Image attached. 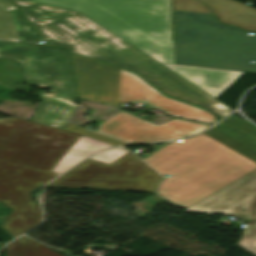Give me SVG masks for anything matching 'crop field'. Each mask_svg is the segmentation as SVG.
I'll return each mask as SVG.
<instances>
[{
  "label": "crop field",
  "mask_w": 256,
  "mask_h": 256,
  "mask_svg": "<svg viewBox=\"0 0 256 256\" xmlns=\"http://www.w3.org/2000/svg\"><path fill=\"white\" fill-rule=\"evenodd\" d=\"M65 130H69V131H72V132H75V133L86 135V136H89V137H92V138H95V139H98V140H101V141H105V142H108V143H111V144H115V145H126V143H124L122 141L100 135L98 133L83 129L81 127H78V126H75V125H72V124H69V123L67 124Z\"/></svg>",
  "instance_id": "crop-field-19"
},
{
  "label": "crop field",
  "mask_w": 256,
  "mask_h": 256,
  "mask_svg": "<svg viewBox=\"0 0 256 256\" xmlns=\"http://www.w3.org/2000/svg\"><path fill=\"white\" fill-rule=\"evenodd\" d=\"M101 164H104V163L88 159L85 162L78 165L77 167L70 170L69 172L65 173L61 177H59V179L83 180L85 174L89 171V169L92 166L101 165Z\"/></svg>",
  "instance_id": "crop-field-17"
},
{
  "label": "crop field",
  "mask_w": 256,
  "mask_h": 256,
  "mask_svg": "<svg viewBox=\"0 0 256 256\" xmlns=\"http://www.w3.org/2000/svg\"><path fill=\"white\" fill-rule=\"evenodd\" d=\"M127 150L116 148V149H110L106 150L104 152L98 153L91 157L90 159H94L97 161H101L104 163L110 164L114 160H116L118 157H120L122 154H124Z\"/></svg>",
  "instance_id": "crop-field-21"
},
{
  "label": "crop field",
  "mask_w": 256,
  "mask_h": 256,
  "mask_svg": "<svg viewBox=\"0 0 256 256\" xmlns=\"http://www.w3.org/2000/svg\"><path fill=\"white\" fill-rule=\"evenodd\" d=\"M218 16L221 22L256 31V9L232 0H201Z\"/></svg>",
  "instance_id": "crop-field-12"
},
{
  "label": "crop field",
  "mask_w": 256,
  "mask_h": 256,
  "mask_svg": "<svg viewBox=\"0 0 256 256\" xmlns=\"http://www.w3.org/2000/svg\"><path fill=\"white\" fill-rule=\"evenodd\" d=\"M5 249L7 256H62L25 236L8 244Z\"/></svg>",
  "instance_id": "crop-field-14"
},
{
  "label": "crop field",
  "mask_w": 256,
  "mask_h": 256,
  "mask_svg": "<svg viewBox=\"0 0 256 256\" xmlns=\"http://www.w3.org/2000/svg\"><path fill=\"white\" fill-rule=\"evenodd\" d=\"M184 211L250 219L238 246L256 255V170Z\"/></svg>",
  "instance_id": "crop-field-9"
},
{
  "label": "crop field",
  "mask_w": 256,
  "mask_h": 256,
  "mask_svg": "<svg viewBox=\"0 0 256 256\" xmlns=\"http://www.w3.org/2000/svg\"><path fill=\"white\" fill-rule=\"evenodd\" d=\"M0 57L20 61L28 84L52 90V94L38 92L42 102L31 121L64 129L78 106L70 53L59 47L0 41Z\"/></svg>",
  "instance_id": "crop-field-6"
},
{
  "label": "crop field",
  "mask_w": 256,
  "mask_h": 256,
  "mask_svg": "<svg viewBox=\"0 0 256 256\" xmlns=\"http://www.w3.org/2000/svg\"><path fill=\"white\" fill-rule=\"evenodd\" d=\"M82 137L18 118L0 120V184L35 189Z\"/></svg>",
  "instance_id": "crop-field-4"
},
{
  "label": "crop field",
  "mask_w": 256,
  "mask_h": 256,
  "mask_svg": "<svg viewBox=\"0 0 256 256\" xmlns=\"http://www.w3.org/2000/svg\"><path fill=\"white\" fill-rule=\"evenodd\" d=\"M74 56L80 99L123 108L137 102L156 107L166 115L214 123L215 116L203 109L164 96L139 75L104 63Z\"/></svg>",
  "instance_id": "crop-field-7"
},
{
  "label": "crop field",
  "mask_w": 256,
  "mask_h": 256,
  "mask_svg": "<svg viewBox=\"0 0 256 256\" xmlns=\"http://www.w3.org/2000/svg\"><path fill=\"white\" fill-rule=\"evenodd\" d=\"M113 147L112 145L104 142L82 137L78 143L69 151V153L62 159V161L53 170L57 173H61L70 166L74 165L81 159L105 148Z\"/></svg>",
  "instance_id": "crop-field-13"
},
{
  "label": "crop field",
  "mask_w": 256,
  "mask_h": 256,
  "mask_svg": "<svg viewBox=\"0 0 256 256\" xmlns=\"http://www.w3.org/2000/svg\"><path fill=\"white\" fill-rule=\"evenodd\" d=\"M15 7L7 0H0V40L19 41L9 10Z\"/></svg>",
  "instance_id": "crop-field-15"
},
{
  "label": "crop field",
  "mask_w": 256,
  "mask_h": 256,
  "mask_svg": "<svg viewBox=\"0 0 256 256\" xmlns=\"http://www.w3.org/2000/svg\"><path fill=\"white\" fill-rule=\"evenodd\" d=\"M12 186L0 185V202L2 201L4 193L9 190Z\"/></svg>",
  "instance_id": "crop-field-22"
},
{
  "label": "crop field",
  "mask_w": 256,
  "mask_h": 256,
  "mask_svg": "<svg viewBox=\"0 0 256 256\" xmlns=\"http://www.w3.org/2000/svg\"><path fill=\"white\" fill-rule=\"evenodd\" d=\"M10 12L19 40L36 44L38 35L22 13L18 9Z\"/></svg>",
  "instance_id": "crop-field-16"
},
{
  "label": "crop field",
  "mask_w": 256,
  "mask_h": 256,
  "mask_svg": "<svg viewBox=\"0 0 256 256\" xmlns=\"http://www.w3.org/2000/svg\"><path fill=\"white\" fill-rule=\"evenodd\" d=\"M2 203L12 209L2 228L8 231L13 239L34 228L41 220V210L32 200L28 188L14 186L5 193Z\"/></svg>",
  "instance_id": "crop-field-11"
},
{
  "label": "crop field",
  "mask_w": 256,
  "mask_h": 256,
  "mask_svg": "<svg viewBox=\"0 0 256 256\" xmlns=\"http://www.w3.org/2000/svg\"><path fill=\"white\" fill-rule=\"evenodd\" d=\"M176 64L256 73V36L213 14L174 10Z\"/></svg>",
  "instance_id": "crop-field-5"
},
{
  "label": "crop field",
  "mask_w": 256,
  "mask_h": 256,
  "mask_svg": "<svg viewBox=\"0 0 256 256\" xmlns=\"http://www.w3.org/2000/svg\"><path fill=\"white\" fill-rule=\"evenodd\" d=\"M223 122L231 125L232 127L250 135L251 137L256 139V127L250 124L249 122L235 116V115H230L227 117Z\"/></svg>",
  "instance_id": "crop-field-18"
},
{
  "label": "crop field",
  "mask_w": 256,
  "mask_h": 256,
  "mask_svg": "<svg viewBox=\"0 0 256 256\" xmlns=\"http://www.w3.org/2000/svg\"><path fill=\"white\" fill-rule=\"evenodd\" d=\"M208 127L210 126L177 119L157 126L122 110L98 125L96 132L134 144L180 139Z\"/></svg>",
  "instance_id": "crop-field-10"
},
{
  "label": "crop field",
  "mask_w": 256,
  "mask_h": 256,
  "mask_svg": "<svg viewBox=\"0 0 256 256\" xmlns=\"http://www.w3.org/2000/svg\"><path fill=\"white\" fill-rule=\"evenodd\" d=\"M220 128H222V127L216 125L215 127L211 128V129H209V130L220 129ZM209 130H207V131H209Z\"/></svg>",
  "instance_id": "crop-field-24"
},
{
  "label": "crop field",
  "mask_w": 256,
  "mask_h": 256,
  "mask_svg": "<svg viewBox=\"0 0 256 256\" xmlns=\"http://www.w3.org/2000/svg\"><path fill=\"white\" fill-rule=\"evenodd\" d=\"M41 34L45 44L138 72L166 95L207 108L219 117L230 114L223 103L193 86L83 14L24 0H11ZM39 40V41H40Z\"/></svg>",
  "instance_id": "crop-field-1"
},
{
  "label": "crop field",
  "mask_w": 256,
  "mask_h": 256,
  "mask_svg": "<svg viewBox=\"0 0 256 256\" xmlns=\"http://www.w3.org/2000/svg\"><path fill=\"white\" fill-rule=\"evenodd\" d=\"M153 158H155V157H153V156L150 155L149 157H147V158H145V159H143V160L147 162V161H149V160H151V159H153Z\"/></svg>",
  "instance_id": "crop-field-23"
},
{
  "label": "crop field",
  "mask_w": 256,
  "mask_h": 256,
  "mask_svg": "<svg viewBox=\"0 0 256 256\" xmlns=\"http://www.w3.org/2000/svg\"><path fill=\"white\" fill-rule=\"evenodd\" d=\"M160 180V175L128 151L110 165L92 167L84 181L56 179L47 186L154 192Z\"/></svg>",
  "instance_id": "crop-field-8"
},
{
  "label": "crop field",
  "mask_w": 256,
  "mask_h": 256,
  "mask_svg": "<svg viewBox=\"0 0 256 256\" xmlns=\"http://www.w3.org/2000/svg\"><path fill=\"white\" fill-rule=\"evenodd\" d=\"M174 9L212 13L198 0H174Z\"/></svg>",
  "instance_id": "crop-field-20"
},
{
  "label": "crop field",
  "mask_w": 256,
  "mask_h": 256,
  "mask_svg": "<svg viewBox=\"0 0 256 256\" xmlns=\"http://www.w3.org/2000/svg\"><path fill=\"white\" fill-rule=\"evenodd\" d=\"M169 143L148 162L163 180L158 194L187 208L256 169V141L230 126Z\"/></svg>",
  "instance_id": "crop-field-2"
},
{
  "label": "crop field",
  "mask_w": 256,
  "mask_h": 256,
  "mask_svg": "<svg viewBox=\"0 0 256 256\" xmlns=\"http://www.w3.org/2000/svg\"><path fill=\"white\" fill-rule=\"evenodd\" d=\"M87 17L217 98L243 73L175 65L171 0H30Z\"/></svg>",
  "instance_id": "crop-field-3"
}]
</instances>
